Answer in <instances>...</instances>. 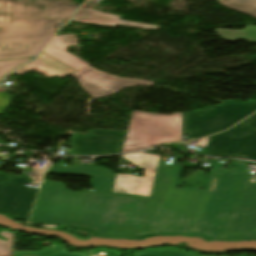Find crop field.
I'll list each match as a JSON object with an SVG mask.
<instances>
[{"mask_svg": "<svg viewBox=\"0 0 256 256\" xmlns=\"http://www.w3.org/2000/svg\"><path fill=\"white\" fill-rule=\"evenodd\" d=\"M214 159L204 190L179 188L182 167L158 163L150 198L109 193L114 172L95 166L52 165L46 173L94 176L93 191L70 192L42 182L30 223L64 224L109 237L193 233L216 239L256 238V183L236 160L233 172ZM256 164V163H253Z\"/></svg>", "mask_w": 256, "mask_h": 256, "instance_id": "crop-field-1", "label": "crop field"}, {"mask_svg": "<svg viewBox=\"0 0 256 256\" xmlns=\"http://www.w3.org/2000/svg\"><path fill=\"white\" fill-rule=\"evenodd\" d=\"M67 19L0 20V60L36 56Z\"/></svg>", "mask_w": 256, "mask_h": 256, "instance_id": "crop-field-2", "label": "crop field"}, {"mask_svg": "<svg viewBox=\"0 0 256 256\" xmlns=\"http://www.w3.org/2000/svg\"><path fill=\"white\" fill-rule=\"evenodd\" d=\"M76 34L54 37L43 52L78 70L76 77L84 90L95 98L108 96L117 90L136 84L151 85L154 82L124 79L96 71L86 62L65 52L67 45H77Z\"/></svg>", "mask_w": 256, "mask_h": 256, "instance_id": "crop-field-3", "label": "crop field"}, {"mask_svg": "<svg viewBox=\"0 0 256 256\" xmlns=\"http://www.w3.org/2000/svg\"><path fill=\"white\" fill-rule=\"evenodd\" d=\"M182 113L170 116L133 111L122 152H132L154 145L181 141Z\"/></svg>", "mask_w": 256, "mask_h": 256, "instance_id": "crop-field-4", "label": "crop field"}, {"mask_svg": "<svg viewBox=\"0 0 256 256\" xmlns=\"http://www.w3.org/2000/svg\"><path fill=\"white\" fill-rule=\"evenodd\" d=\"M197 111L193 114L183 113L182 134H188V139L225 130L256 111V102L245 105L240 101L228 100L217 107L209 106Z\"/></svg>", "mask_w": 256, "mask_h": 256, "instance_id": "crop-field-5", "label": "crop field"}, {"mask_svg": "<svg viewBox=\"0 0 256 256\" xmlns=\"http://www.w3.org/2000/svg\"><path fill=\"white\" fill-rule=\"evenodd\" d=\"M206 155L256 161V114L228 131L210 137Z\"/></svg>", "mask_w": 256, "mask_h": 256, "instance_id": "crop-field-6", "label": "crop field"}, {"mask_svg": "<svg viewBox=\"0 0 256 256\" xmlns=\"http://www.w3.org/2000/svg\"><path fill=\"white\" fill-rule=\"evenodd\" d=\"M79 7L72 0H0V19L70 17Z\"/></svg>", "mask_w": 256, "mask_h": 256, "instance_id": "crop-field-7", "label": "crop field"}, {"mask_svg": "<svg viewBox=\"0 0 256 256\" xmlns=\"http://www.w3.org/2000/svg\"><path fill=\"white\" fill-rule=\"evenodd\" d=\"M33 182L25 174L19 177L0 173V211L12 218L26 220L38 189L24 185Z\"/></svg>", "mask_w": 256, "mask_h": 256, "instance_id": "crop-field-8", "label": "crop field"}, {"mask_svg": "<svg viewBox=\"0 0 256 256\" xmlns=\"http://www.w3.org/2000/svg\"><path fill=\"white\" fill-rule=\"evenodd\" d=\"M123 158L143 169V177L115 174L110 192L149 196L159 156L137 153L123 155Z\"/></svg>", "mask_w": 256, "mask_h": 256, "instance_id": "crop-field-9", "label": "crop field"}, {"mask_svg": "<svg viewBox=\"0 0 256 256\" xmlns=\"http://www.w3.org/2000/svg\"><path fill=\"white\" fill-rule=\"evenodd\" d=\"M126 132L90 130L87 136L74 133L70 155L114 154L121 151Z\"/></svg>", "mask_w": 256, "mask_h": 256, "instance_id": "crop-field-10", "label": "crop field"}, {"mask_svg": "<svg viewBox=\"0 0 256 256\" xmlns=\"http://www.w3.org/2000/svg\"><path fill=\"white\" fill-rule=\"evenodd\" d=\"M94 4L92 2H87L85 6L79 10V12L74 16L71 21L75 22H82L86 24H97L103 25L108 27H114L116 24L126 25V26H133L139 28H145L149 30L158 29L157 26L136 23V22H129V21H122L120 20V16L118 15H111V14H103L98 11L93 10Z\"/></svg>", "mask_w": 256, "mask_h": 256, "instance_id": "crop-field-11", "label": "crop field"}, {"mask_svg": "<svg viewBox=\"0 0 256 256\" xmlns=\"http://www.w3.org/2000/svg\"><path fill=\"white\" fill-rule=\"evenodd\" d=\"M31 70L41 73L49 78L55 75L64 77L77 72L71 69L70 67L56 61L55 59L48 56L47 54L41 53L40 56L35 61L14 71L13 74L23 75Z\"/></svg>", "mask_w": 256, "mask_h": 256, "instance_id": "crop-field-12", "label": "crop field"}, {"mask_svg": "<svg viewBox=\"0 0 256 256\" xmlns=\"http://www.w3.org/2000/svg\"><path fill=\"white\" fill-rule=\"evenodd\" d=\"M99 252H105L106 256H119L117 252L96 249L91 251L89 255L84 253H69L65 246L45 249L41 251H16L15 256H96Z\"/></svg>", "mask_w": 256, "mask_h": 256, "instance_id": "crop-field-13", "label": "crop field"}, {"mask_svg": "<svg viewBox=\"0 0 256 256\" xmlns=\"http://www.w3.org/2000/svg\"><path fill=\"white\" fill-rule=\"evenodd\" d=\"M215 32L222 39L230 42H236L237 39H244L248 42H256V26H246L243 30L240 31L216 29ZM240 34L243 36L238 37Z\"/></svg>", "mask_w": 256, "mask_h": 256, "instance_id": "crop-field-14", "label": "crop field"}, {"mask_svg": "<svg viewBox=\"0 0 256 256\" xmlns=\"http://www.w3.org/2000/svg\"><path fill=\"white\" fill-rule=\"evenodd\" d=\"M223 5L256 16V0H220Z\"/></svg>", "mask_w": 256, "mask_h": 256, "instance_id": "crop-field-15", "label": "crop field"}, {"mask_svg": "<svg viewBox=\"0 0 256 256\" xmlns=\"http://www.w3.org/2000/svg\"><path fill=\"white\" fill-rule=\"evenodd\" d=\"M134 256H196L185 251H176L172 249L142 251L134 254Z\"/></svg>", "mask_w": 256, "mask_h": 256, "instance_id": "crop-field-16", "label": "crop field"}, {"mask_svg": "<svg viewBox=\"0 0 256 256\" xmlns=\"http://www.w3.org/2000/svg\"><path fill=\"white\" fill-rule=\"evenodd\" d=\"M0 236H3L7 239L6 242L0 240V256H11L14 244V234L2 231L0 232Z\"/></svg>", "mask_w": 256, "mask_h": 256, "instance_id": "crop-field-17", "label": "crop field"}, {"mask_svg": "<svg viewBox=\"0 0 256 256\" xmlns=\"http://www.w3.org/2000/svg\"><path fill=\"white\" fill-rule=\"evenodd\" d=\"M32 59V58H31ZM31 59L0 62V80L10 71L18 68Z\"/></svg>", "mask_w": 256, "mask_h": 256, "instance_id": "crop-field-18", "label": "crop field"}, {"mask_svg": "<svg viewBox=\"0 0 256 256\" xmlns=\"http://www.w3.org/2000/svg\"><path fill=\"white\" fill-rule=\"evenodd\" d=\"M49 164H46L44 168L41 169H34L31 172V178H33L35 181L39 182L40 181V176L42 175V173L44 172V170L48 167Z\"/></svg>", "mask_w": 256, "mask_h": 256, "instance_id": "crop-field-19", "label": "crop field"}, {"mask_svg": "<svg viewBox=\"0 0 256 256\" xmlns=\"http://www.w3.org/2000/svg\"><path fill=\"white\" fill-rule=\"evenodd\" d=\"M193 112H196V111H193ZM193 112H192V113H193Z\"/></svg>", "mask_w": 256, "mask_h": 256, "instance_id": "crop-field-20", "label": "crop field"}]
</instances>
